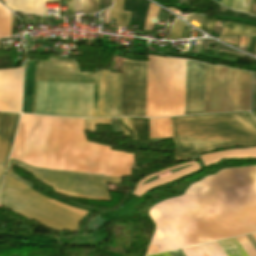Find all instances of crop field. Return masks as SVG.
Returning a JSON list of instances; mask_svg holds the SVG:
<instances>
[{
    "label": "crop field",
    "mask_w": 256,
    "mask_h": 256,
    "mask_svg": "<svg viewBox=\"0 0 256 256\" xmlns=\"http://www.w3.org/2000/svg\"><path fill=\"white\" fill-rule=\"evenodd\" d=\"M84 119L35 115L23 162L41 168L123 177L132 175L134 154L89 143Z\"/></svg>",
    "instance_id": "obj_1"
},
{
    "label": "crop field",
    "mask_w": 256,
    "mask_h": 256,
    "mask_svg": "<svg viewBox=\"0 0 256 256\" xmlns=\"http://www.w3.org/2000/svg\"><path fill=\"white\" fill-rule=\"evenodd\" d=\"M9 162V168L0 197V205L55 230L76 231L82 216L88 212L50 199V202L82 215L80 216L48 202L49 198L34 192L30 188L10 177L12 164L36 174L39 178L56 184L54 186L52 183L39 179L51 186L53 190H59L73 195L109 198L104 182L120 183V179L114 177L35 169L12 159H10ZM36 176L34 175V177ZM62 192L59 193L65 194ZM80 196L73 197L86 198Z\"/></svg>",
    "instance_id": "obj_2"
},
{
    "label": "crop field",
    "mask_w": 256,
    "mask_h": 256,
    "mask_svg": "<svg viewBox=\"0 0 256 256\" xmlns=\"http://www.w3.org/2000/svg\"><path fill=\"white\" fill-rule=\"evenodd\" d=\"M176 160L227 146L256 145V122L250 114L171 118Z\"/></svg>",
    "instance_id": "obj_3"
},
{
    "label": "crop field",
    "mask_w": 256,
    "mask_h": 256,
    "mask_svg": "<svg viewBox=\"0 0 256 256\" xmlns=\"http://www.w3.org/2000/svg\"><path fill=\"white\" fill-rule=\"evenodd\" d=\"M37 81L94 83L93 117L119 116L121 73L102 69L79 73L76 62L36 61L31 113Z\"/></svg>",
    "instance_id": "obj_4"
},
{
    "label": "crop field",
    "mask_w": 256,
    "mask_h": 256,
    "mask_svg": "<svg viewBox=\"0 0 256 256\" xmlns=\"http://www.w3.org/2000/svg\"><path fill=\"white\" fill-rule=\"evenodd\" d=\"M186 60L148 56L146 117L183 115Z\"/></svg>",
    "instance_id": "obj_5"
},
{
    "label": "crop field",
    "mask_w": 256,
    "mask_h": 256,
    "mask_svg": "<svg viewBox=\"0 0 256 256\" xmlns=\"http://www.w3.org/2000/svg\"><path fill=\"white\" fill-rule=\"evenodd\" d=\"M93 84L38 82L35 113L92 117Z\"/></svg>",
    "instance_id": "obj_6"
},
{
    "label": "crop field",
    "mask_w": 256,
    "mask_h": 256,
    "mask_svg": "<svg viewBox=\"0 0 256 256\" xmlns=\"http://www.w3.org/2000/svg\"><path fill=\"white\" fill-rule=\"evenodd\" d=\"M146 76L147 63L124 59L120 116L145 117Z\"/></svg>",
    "instance_id": "obj_7"
},
{
    "label": "crop field",
    "mask_w": 256,
    "mask_h": 256,
    "mask_svg": "<svg viewBox=\"0 0 256 256\" xmlns=\"http://www.w3.org/2000/svg\"><path fill=\"white\" fill-rule=\"evenodd\" d=\"M205 65L187 60L184 115L203 114Z\"/></svg>",
    "instance_id": "obj_8"
},
{
    "label": "crop field",
    "mask_w": 256,
    "mask_h": 256,
    "mask_svg": "<svg viewBox=\"0 0 256 256\" xmlns=\"http://www.w3.org/2000/svg\"><path fill=\"white\" fill-rule=\"evenodd\" d=\"M23 68L0 70V111L20 112Z\"/></svg>",
    "instance_id": "obj_9"
},
{
    "label": "crop field",
    "mask_w": 256,
    "mask_h": 256,
    "mask_svg": "<svg viewBox=\"0 0 256 256\" xmlns=\"http://www.w3.org/2000/svg\"><path fill=\"white\" fill-rule=\"evenodd\" d=\"M19 114L0 113V186L19 120Z\"/></svg>",
    "instance_id": "obj_10"
},
{
    "label": "crop field",
    "mask_w": 256,
    "mask_h": 256,
    "mask_svg": "<svg viewBox=\"0 0 256 256\" xmlns=\"http://www.w3.org/2000/svg\"><path fill=\"white\" fill-rule=\"evenodd\" d=\"M193 163H195V164H193ZM188 164H193V165L188 166V167H186V168H183V169H181V170H179V171H176V172H174V173H172V174H169V175H167V176H165V177H162V178H160V179H158V180H156V181H153V182H151V183H149V184H146V185L140 187L141 184H142L144 181H146L147 179H149V178H151V177H153V176H156V175L161 174V173H163V172H166V171H168V170H171V169H174V168H177V167H181V166H184V165H188ZM198 169H199V164H198L197 162H195V161H192V162H188V163H185V164L176 165V166H172V167L166 168V169H164V170H162V171H160V172H158V173H155V174H153V175H150V176L144 178L143 180H141V181L139 182V184L137 185V187H136V191H135L133 194H135V195H137V196L140 197L142 194H144L145 192H147V191H149V190H151V189H153V188H156V187H158V186H160V185H163V184H165V183H167V182H170V181H172V180H174V179H177V178H179V177H181V176H184V175H186V174H188V173L197 171Z\"/></svg>",
    "instance_id": "obj_11"
},
{
    "label": "crop field",
    "mask_w": 256,
    "mask_h": 256,
    "mask_svg": "<svg viewBox=\"0 0 256 256\" xmlns=\"http://www.w3.org/2000/svg\"><path fill=\"white\" fill-rule=\"evenodd\" d=\"M125 135L132 136L133 140L150 142L149 119L144 118H117Z\"/></svg>",
    "instance_id": "obj_12"
},
{
    "label": "crop field",
    "mask_w": 256,
    "mask_h": 256,
    "mask_svg": "<svg viewBox=\"0 0 256 256\" xmlns=\"http://www.w3.org/2000/svg\"><path fill=\"white\" fill-rule=\"evenodd\" d=\"M34 115H22L11 157L22 160Z\"/></svg>",
    "instance_id": "obj_13"
},
{
    "label": "crop field",
    "mask_w": 256,
    "mask_h": 256,
    "mask_svg": "<svg viewBox=\"0 0 256 256\" xmlns=\"http://www.w3.org/2000/svg\"><path fill=\"white\" fill-rule=\"evenodd\" d=\"M12 11L45 15V0H5Z\"/></svg>",
    "instance_id": "obj_14"
},
{
    "label": "crop field",
    "mask_w": 256,
    "mask_h": 256,
    "mask_svg": "<svg viewBox=\"0 0 256 256\" xmlns=\"http://www.w3.org/2000/svg\"><path fill=\"white\" fill-rule=\"evenodd\" d=\"M204 165H211L220 162L224 158H256L255 149L229 150L220 153L200 156Z\"/></svg>",
    "instance_id": "obj_15"
},
{
    "label": "crop field",
    "mask_w": 256,
    "mask_h": 256,
    "mask_svg": "<svg viewBox=\"0 0 256 256\" xmlns=\"http://www.w3.org/2000/svg\"><path fill=\"white\" fill-rule=\"evenodd\" d=\"M35 61H28L25 74L23 113H30Z\"/></svg>",
    "instance_id": "obj_16"
},
{
    "label": "crop field",
    "mask_w": 256,
    "mask_h": 256,
    "mask_svg": "<svg viewBox=\"0 0 256 256\" xmlns=\"http://www.w3.org/2000/svg\"><path fill=\"white\" fill-rule=\"evenodd\" d=\"M256 35V27L226 22L221 38Z\"/></svg>",
    "instance_id": "obj_17"
},
{
    "label": "crop field",
    "mask_w": 256,
    "mask_h": 256,
    "mask_svg": "<svg viewBox=\"0 0 256 256\" xmlns=\"http://www.w3.org/2000/svg\"><path fill=\"white\" fill-rule=\"evenodd\" d=\"M151 138L172 137L169 118L150 119Z\"/></svg>",
    "instance_id": "obj_18"
},
{
    "label": "crop field",
    "mask_w": 256,
    "mask_h": 256,
    "mask_svg": "<svg viewBox=\"0 0 256 256\" xmlns=\"http://www.w3.org/2000/svg\"><path fill=\"white\" fill-rule=\"evenodd\" d=\"M218 244L227 256H248L236 238L219 241Z\"/></svg>",
    "instance_id": "obj_19"
},
{
    "label": "crop field",
    "mask_w": 256,
    "mask_h": 256,
    "mask_svg": "<svg viewBox=\"0 0 256 256\" xmlns=\"http://www.w3.org/2000/svg\"><path fill=\"white\" fill-rule=\"evenodd\" d=\"M123 0H114L110 18H116V25L127 27L128 17L130 12L122 11Z\"/></svg>",
    "instance_id": "obj_20"
},
{
    "label": "crop field",
    "mask_w": 256,
    "mask_h": 256,
    "mask_svg": "<svg viewBox=\"0 0 256 256\" xmlns=\"http://www.w3.org/2000/svg\"><path fill=\"white\" fill-rule=\"evenodd\" d=\"M11 35L10 12L0 5V38Z\"/></svg>",
    "instance_id": "obj_21"
},
{
    "label": "crop field",
    "mask_w": 256,
    "mask_h": 256,
    "mask_svg": "<svg viewBox=\"0 0 256 256\" xmlns=\"http://www.w3.org/2000/svg\"><path fill=\"white\" fill-rule=\"evenodd\" d=\"M251 0H222L221 4L242 12L248 13Z\"/></svg>",
    "instance_id": "obj_22"
},
{
    "label": "crop field",
    "mask_w": 256,
    "mask_h": 256,
    "mask_svg": "<svg viewBox=\"0 0 256 256\" xmlns=\"http://www.w3.org/2000/svg\"><path fill=\"white\" fill-rule=\"evenodd\" d=\"M237 240L240 242V244L243 246V248L245 249L249 256H256V250L249 242V240L246 238V236L238 237Z\"/></svg>",
    "instance_id": "obj_23"
},
{
    "label": "crop field",
    "mask_w": 256,
    "mask_h": 256,
    "mask_svg": "<svg viewBox=\"0 0 256 256\" xmlns=\"http://www.w3.org/2000/svg\"><path fill=\"white\" fill-rule=\"evenodd\" d=\"M98 11V0H83V14Z\"/></svg>",
    "instance_id": "obj_24"
},
{
    "label": "crop field",
    "mask_w": 256,
    "mask_h": 256,
    "mask_svg": "<svg viewBox=\"0 0 256 256\" xmlns=\"http://www.w3.org/2000/svg\"><path fill=\"white\" fill-rule=\"evenodd\" d=\"M95 124H109L107 119H86L85 131H95Z\"/></svg>",
    "instance_id": "obj_25"
},
{
    "label": "crop field",
    "mask_w": 256,
    "mask_h": 256,
    "mask_svg": "<svg viewBox=\"0 0 256 256\" xmlns=\"http://www.w3.org/2000/svg\"><path fill=\"white\" fill-rule=\"evenodd\" d=\"M184 23H182L181 21H179L178 19L174 22L172 30L170 32V35L168 37V39H178L179 34L182 30Z\"/></svg>",
    "instance_id": "obj_26"
},
{
    "label": "crop field",
    "mask_w": 256,
    "mask_h": 256,
    "mask_svg": "<svg viewBox=\"0 0 256 256\" xmlns=\"http://www.w3.org/2000/svg\"><path fill=\"white\" fill-rule=\"evenodd\" d=\"M206 247L209 249L213 256H226L217 242L206 244Z\"/></svg>",
    "instance_id": "obj_27"
},
{
    "label": "crop field",
    "mask_w": 256,
    "mask_h": 256,
    "mask_svg": "<svg viewBox=\"0 0 256 256\" xmlns=\"http://www.w3.org/2000/svg\"><path fill=\"white\" fill-rule=\"evenodd\" d=\"M169 16H170V15L167 14L166 12H164V11H162V10H159L158 16H157V18H156L155 24H154V26H153L152 29H161L162 26L157 25L156 22H157V21L168 22Z\"/></svg>",
    "instance_id": "obj_28"
},
{
    "label": "crop field",
    "mask_w": 256,
    "mask_h": 256,
    "mask_svg": "<svg viewBox=\"0 0 256 256\" xmlns=\"http://www.w3.org/2000/svg\"><path fill=\"white\" fill-rule=\"evenodd\" d=\"M191 27L184 25L179 39L189 38Z\"/></svg>",
    "instance_id": "obj_29"
},
{
    "label": "crop field",
    "mask_w": 256,
    "mask_h": 256,
    "mask_svg": "<svg viewBox=\"0 0 256 256\" xmlns=\"http://www.w3.org/2000/svg\"><path fill=\"white\" fill-rule=\"evenodd\" d=\"M183 252L186 254V256H201L195 247L184 249Z\"/></svg>",
    "instance_id": "obj_30"
},
{
    "label": "crop field",
    "mask_w": 256,
    "mask_h": 256,
    "mask_svg": "<svg viewBox=\"0 0 256 256\" xmlns=\"http://www.w3.org/2000/svg\"><path fill=\"white\" fill-rule=\"evenodd\" d=\"M196 249L202 256H212L208 249L205 247V245L197 246Z\"/></svg>",
    "instance_id": "obj_31"
},
{
    "label": "crop field",
    "mask_w": 256,
    "mask_h": 256,
    "mask_svg": "<svg viewBox=\"0 0 256 256\" xmlns=\"http://www.w3.org/2000/svg\"><path fill=\"white\" fill-rule=\"evenodd\" d=\"M213 18H211L209 15H206V18L201 26L200 29H202L203 31L206 32L208 26L210 25L211 21H212Z\"/></svg>",
    "instance_id": "obj_32"
},
{
    "label": "crop field",
    "mask_w": 256,
    "mask_h": 256,
    "mask_svg": "<svg viewBox=\"0 0 256 256\" xmlns=\"http://www.w3.org/2000/svg\"><path fill=\"white\" fill-rule=\"evenodd\" d=\"M68 16L74 15V0H67Z\"/></svg>",
    "instance_id": "obj_33"
},
{
    "label": "crop field",
    "mask_w": 256,
    "mask_h": 256,
    "mask_svg": "<svg viewBox=\"0 0 256 256\" xmlns=\"http://www.w3.org/2000/svg\"><path fill=\"white\" fill-rule=\"evenodd\" d=\"M250 14L256 15V0L251 1Z\"/></svg>",
    "instance_id": "obj_34"
},
{
    "label": "crop field",
    "mask_w": 256,
    "mask_h": 256,
    "mask_svg": "<svg viewBox=\"0 0 256 256\" xmlns=\"http://www.w3.org/2000/svg\"><path fill=\"white\" fill-rule=\"evenodd\" d=\"M82 10V0H75V11Z\"/></svg>",
    "instance_id": "obj_35"
},
{
    "label": "crop field",
    "mask_w": 256,
    "mask_h": 256,
    "mask_svg": "<svg viewBox=\"0 0 256 256\" xmlns=\"http://www.w3.org/2000/svg\"><path fill=\"white\" fill-rule=\"evenodd\" d=\"M12 35H15V15L11 14Z\"/></svg>",
    "instance_id": "obj_36"
},
{
    "label": "crop field",
    "mask_w": 256,
    "mask_h": 256,
    "mask_svg": "<svg viewBox=\"0 0 256 256\" xmlns=\"http://www.w3.org/2000/svg\"><path fill=\"white\" fill-rule=\"evenodd\" d=\"M170 254L172 256H185V254L182 252V250L172 251V252H170Z\"/></svg>",
    "instance_id": "obj_37"
},
{
    "label": "crop field",
    "mask_w": 256,
    "mask_h": 256,
    "mask_svg": "<svg viewBox=\"0 0 256 256\" xmlns=\"http://www.w3.org/2000/svg\"><path fill=\"white\" fill-rule=\"evenodd\" d=\"M239 39L240 38H231L230 40H234V41H239ZM221 41H224V40H226V41H229V42H233V43H236L237 44V42H234V41H230V40H227V39H224V40H222V39H220ZM226 41H224V42H226ZM229 42H227V43H229ZM233 43H230V44H233ZM236 44H233V45H236ZM237 46V45H236Z\"/></svg>",
    "instance_id": "obj_38"
},
{
    "label": "crop field",
    "mask_w": 256,
    "mask_h": 256,
    "mask_svg": "<svg viewBox=\"0 0 256 256\" xmlns=\"http://www.w3.org/2000/svg\"><path fill=\"white\" fill-rule=\"evenodd\" d=\"M215 21H216V20L213 19V21H212V23H211V25H210V27H209V29H208V31H207L208 33H211V30H212V27H213ZM208 33H207V34H208ZM209 35H210V34H209Z\"/></svg>",
    "instance_id": "obj_39"
},
{
    "label": "crop field",
    "mask_w": 256,
    "mask_h": 256,
    "mask_svg": "<svg viewBox=\"0 0 256 256\" xmlns=\"http://www.w3.org/2000/svg\"><path fill=\"white\" fill-rule=\"evenodd\" d=\"M153 256H171L169 254V252H166V253H162V254H158V255H153Z\"/></svg>",
    "instance_id": "obj_40"
},
{
    "label": "crop field",
    "mask_w": 256,
    "mask_h": 256,
    "mask_svg": "<svg viewBox=\"0 0 256 256\" xmlns=\"http://www.w3.org/2000/svg\"><path fill=\"white\" fill-rule=\"evenodd\" d=\"M249 39H250V37H247L245 47H244L245 49H247V47H248Z\"/></svg>",
    "instance_id": "obj_41"
},
{
    "label": "crop field",
    "mask_w": 256,
    "mask_h": 256,
    "mask_svg": "<svg viewBox=\"0 0 256 256\" xmlns=\"http://www.w3.org/2000/svg\"><path fill=\"white\" fill-rule=\"evenodd\" d=\"M254 115V117L256 118V113H252Z\"/></svg>",
    "instance_id": "obj_42"
},
{
    "label": "crop field",
    "mask_w": 256,
    "mask_h": 256,
    "mask_svg": "<svg viewBox=\"0 0 256 256\" xmlns=\"http://www.w3.org/2000/svg\"><path fill=\"white\" fill-rule=\"evenodd\" d=\"M216 1L220 3L221 0H216Z\"/></svg>",
    "instance_id": "obj_43"
},
{
    "label": "crop field",
    "mask_w": 256,
    "mask_h": 256,
    "mask_svg": "<svg viewBox=\"0 0 256 256\" xmlns=\"http://www.w3.org/2000/svg\"><path fill=\"white\" fill-rule=\"evenodd\" d=\"M255 53H256V49H255V51H254Z\"/></svg>",
    "instance_id": "obj_44"
}]
</instances>
